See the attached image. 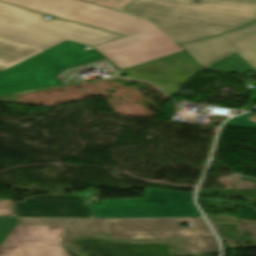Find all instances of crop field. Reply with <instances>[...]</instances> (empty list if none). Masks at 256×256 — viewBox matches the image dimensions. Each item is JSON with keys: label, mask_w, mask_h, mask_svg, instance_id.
<instances>
[{"label": "crop field", "mask_w": 256, "mask_h": 256, "mask_svg": "<svg viewBox=\"0 0 256 256\" xmlns=\"http://www.w3.org/2000/svg\"><path fill=\"white\" fill-rule=\"evenodd\" d=\"M61 71L49 73L35 56L28 58L0 72V98L67 86L54 78Z\"/></svg>", "instance_id": "obj_8"}, {"label": "crop field", "mask_w": 256, "mask_h": 256, "mask_svg": "<svg viewBox=\"0 0 256 256\" xmlns=\"http://www.w3.org/2000/svg\"><path fill=\"white\" fill-rule=\"evenodd\" d=\"M0 216H14L11 200H0Z\"/></svg>", "instance_id": "obj_17"}, {"label": "crop field", "mask_w": 256, "mask_h": 256, "mask_svg": "<svg viewBox=\"0 0 256 256\" xmlns=\"http://www.w3.org/2000/svg\"><path fill=\"white\" fill-rule=\"evenodd\" d=\"M238 218L256 220V211L238 209Z\"/></svg>", "instance_id": "obj_18"}, {"label": "crop field", "mask_w": 256, "mask_h": 256, "mask_svg": "<svg viewBox=\"0 0 256 256\" xmlns=\"http://www.w3.org/2000/svg\"><path fill=\"white\" fill-rule=\"evenodd\" d=\"M84 45L66 41L36 57L49 72L103 59L96 51L84 50Z\"/></svg>", "instance_id": "obj_11"}, {"label": "crop field", "mask_w": 256, "mask_h": 256, "mask_svg": "<svg viewBox=\"0 0 256 256\" xmlns=\"http://www.w3.org/2000/svg\"><path fill=\"white\" fill-rule=\"evenodd\" d=\"M42 51L44 50L0 39V70Z\"/></svg>", "instance_id": "obj_12"}, {"label": "crop field", "mask_w": 256, "mask_h": 256, "mask_svg": "<svg viewBox=\"0 0 256 256\" xmlns=\"http://www.w3.org/2000/svg\"><path fill=\"white\" fill-rule=\"evenodd\" d=\"M206 69L226 72V73H229V72L247 73V72L256 71L236 53Z\"/></svg>", "instance_id": "obj_13"}, {"label": "crop field", "mask_w": 256, "mask_h": 256, "mask_svg": "<svg viewBox=\"0 0 256 256\" xmlns=\"http://www.w3.org/2000/svg\"><path fill=\"white\" fill-rule=\"evenodd\" d=\"M180 45L204 68L236 52L256 69V22L217 37Z\"/></svg>", "instance_id": "obj_6"}, {"label": "crop field", "mask_w": 256, "mask_h": 256, "mask_svg": "<svg viewBox=\"0 0 256 256\" xmlns=\"http://www.w3.org/2000/svg\"><path fill=\"white\" fill-rule=\"evenodd\" d=\"M12 205L15 216L91 217L82 197L45 195Z\"/></svg>", "instance_id": "obj_10"}, {"label": "crop field", "mask_w": 256, "mask_h": 256, "mask_svg": "<svg viewBox=\"0 0 256 256\" xmlns=\"http://www.w3.org/2000/svg\"><path fill=\"white\" fill-rule=\"evenodd\" d=\"M15 256H70V254L62 246H57Z\"/></svg>", "instance_id": "obj_14"}, {"label": "crop field", "mask_w": 256, "mask_h": 256, "mask_svg": "<svg viewBox=\"0 0 256 256\" xmlns=\"http://www.w3.org/2000/svg\"><path fill=\"white\" fill-rule=\"evenodd\" d=\"M16 225L14 218H0V245Z\"/></svg>", "instance_id": "obj_15"}, {"label": "crop field", "mask_w": 256, "mask_h": 256, "mask_svg": "<svg viewBox=\"0 0 256 256\" xmlns=\"http://www.w3.org/2000/svg\"><path fill=\"white\" fill-rule=\"evenodd\" d=\"M132 0L119 11L152 20L176 43L256 20L254 0Z\"/></svg>", "instance_id": "obj_2"}, {"label": "crop field", "mask_w": 256, "mask_h": 256, "mask_svg": "<svg viewBox=\"0 0 256 256\" xmlns=\"http://www.w3.org/2000/svg\"><path fill=\"white\" fill-rule=\"evenodd\" d=\"M65 226L16 225L0 247L9 256L61 245Z\"/></svg>", "instance_id": "obj_9"}, {"label": "crop field", "mask_w": 256, "mask_h": 256, "mask_svg": "<svg viewBox=\"0 0 256 256\" xmlns=\"http://www.w3.org/2000/svg\"><path fill=\"white\" fill-rule=\"evenodd\" d=\"M0 3V38L47 50L65 40L93 46L123 36Z\"/></svg>", "instance_id": "obj_4"}, {"label": "crop field", "mask_w": 256, "mask_h": 256, "mask_svg": "<svg viewBox=\"0 0 256 256\" xmlns=\"http://www.w3.org/2000/svg\"><path fill=\"white\" fill-rule=\"evenodd\" d=\"M201 69L203 67L185 51L124 72L133 78L152 80L165 93L173 96L180 93L179 84Z\"/></svg>", "instance_id": "obj_7"}, {"label": "crop field", "mask_w": 256, "mask_h": 256, "mask_svg": "<svg viewBox=\"0 0 256 256\" xmlns=\"http://www.w3.org/2000/svg\"><path fill=\"white\" fill-rule=\"evenodd\" d=\"M15 220L17 224L66 225L64 234H109L110 239L180 238L193 253L219 251L203 218ZM180 223H192V227H180Z\"/></svg>", "instance_id": "obj_3"}, {"label": "crop field", "mask_w": 256, "mask_h": 256, "mask_svg": "<svg viewBox=\"0 0 256 256\" xmlns=\"http://www.w3.org/2000/svg\"><path fill=\"white\" fill-rule=\"evenodd\" d=\"M127 37L93 46L121 70L182 51L153 22L79 0H1Z\"/></svg>", "instance_id": "obj_1"}, {"label": "crop field", "mask_w": 256, "mask_h": 256, "mask_svg": "<svg viewBox=\"0 0 256 256\" xmlns=\"http://www.w3.org/2000/svg\"><path fill=\"white\" fill-rule=\"evenodd\" d=\"M144 193V199H102V206H92L94 217H200L191 193L156 188Z\"/></svg>", "instance_id": "obj_5"}, {"label": "crop field", "mask_w": 256, "mask_h": 256, "mask_svg": "<svg viewBox=\"0 0 256 256\" xmlns=\"http://www.w3.org/2000/svg\"><path fill=\"white\" fill-rule=\"evenodd\" d=\"M251 93H252V95L249 96L250 100L251 101H256V87L251 91Z\"/></svg>", "instance_id": "obj_19"}, {"label": "crop field", "mask_w": 256, "mask_h": 256, "mask_svg": "<svg viewBox=\"0 0 256 256\" xmlns=\"http://www.w3.org/2000/svg\"><path fill=\"white\" fill-rule=\"evenodd\" d=\"M86 1L98 3L109 8L119 10L125 4H127L130 0H86Z\"/></svg>", "instance_id": "obj_16"}]
</instances>
